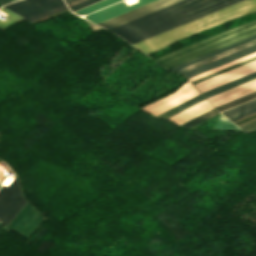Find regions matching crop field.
<instances>
[{
  "label": "crop field",
  "instance_id": "crop-field-1",
  "mask_svg": "<svg viewBox=\"0 0 256 256\" xmlns=\"http://www.w3.org/2000/svg\"><path fill=\"white\" fill-rule=\"evenodd\" d=\"M240 1L183 0L110 30L133 44Z\"/></svg>",
  "mask_w": 256,
  "mask_h": 256
},
{
  "label": "crop field",
  "instance_id": "crop-field-2",
  "mask_svg": "<svg viewBox=\"0 0 256 256\" xmlns=\"http://www.w3.org/2000/svg\"><path fill=\"white\" fill-rule=\"evenodd\" d=\"M251 12H256V0H245L133 45L148 55L176 41Z\"/></svg>",
  "mask_w": 256,
  "mask_h": 256
},
{
  "label": "crop field",
  "instance_id": "crop-field-3",
  "mask_svg": "<svg viewBox=\"0 0 256 256\" xmlns=\"http://www.w3.org/2000/svg\"><path fill=\"white\" fill-rule=\"evenodd\" d=\"M256 34V21L225 30L208 39L192 44L156 59L170 69L222 47L228 46Z\"/></svg>",
  "mask_w": 256,
  "mask_h": 256
},
{
  "label": "crop field",
  "instance_id": "crop-field-4",
  "mask_svg": "<svg viewBox=\"0 0 256 256\" xmlns=\"http://www.w3.org/2000/svg\"><path fill=\"white\" fill-rule=\"evenodd\" d=\"M118 1H120V0H104V1L98 2L96 4H93L91 6H88L86 8H83L81 10H78V11H76L74 13H77L79 15H86L88 13H91L93 11H96L98 9L106 7V6L110 5V4H113V3L118 2ZM139 1L140 2H138L136 4H133V5L129 6V7H127L124 2H120L118 4L110 6L108 8L103 9V10H100L98 12L90 14V15L86 16V19H88V20L98 24L100 22H103L105 20H108L110 18L118 16L120 14H123V13L128 12L130 10H133L135 8H138L140 6H143L145 4L153 2L155 0H139Z\"/></svg>",
  "mask_w": 256,
  "mask_h": 256
},
{
  "label": "crop field",
  "instance_id": "crop-field-5",
  "mask_svg": "<svg viewBox=\"0 0 256 256\" xmlns=\"http://www.w3.org/2000/svg\"><path fill=\"white\" fill-rule=\"evenodd\" d=\"M26 202L21 196L17 176L8 187L2 186L0 188V221L5 227Z\"/></svg>",
  "mask_w": 256,
  "mask_h": 256
},
{
  "label": "crop field",
  "instance_id": "crop-field-6",
  "mask_svg": "<svg viewBox=\"0 0 256 256\" xmlns=\"http://www.w3.org/2000/svg\"><path fill=\"white\" fill-rule=\"evenodd\" d=\"M43 220L44 217L27 202L6 228L28 239Z\"/></svg>",
  "mask_w": 256,
  "mask_h": 256
},
{
  "label": "crop field",
  "instance_id": "crop-field-7",
  "mask_svg": "<svg viewBox=\"0 0 256 256\" xmlns=\"http://www.w3.org/2000/svg\"><path fill=\"white\" fill-rule=\"evenodd\" d=\"M197 94H199V92L188 81H186L171 95H168L163 99L153 102L141 109H144L156 116Z\"/></svg>",
  "mask_w": 256,
  "mask_h": 256
},
{
  "label": "crop field",
  "instance_id": "crop-field-8",
  "mask_svg": "<svg viewBox=\"0 0 256 256\" xmlns=\"http://www.w3.org/2000/svg\"><path fill=\"white\" fill-rule=\"evenodd\" d=\"M253 44H256V35L253 37H250L248 39H245L243 41H240L238 43H235L233 45H230L228 47L222 48L220 50H217L215 52H212L210 54H207L205 56H202L200 58H197L195 60H192L190 62H187L185 64H182L180 66H177L175 68H172L170 70L175 71L179 74L186 72L188 70H191L193 68H196L198 66H201L203 64H206L208 62H211L213 60H216L218 58H221L223 56H226L228 54H231L233 52H236L238 50H241L243 48H246L248 46H251Z\"/></svg>",
  "mask_w": 256,
  "mask_h": 256
},
{
  "label": "crop field",
  "instance_id": "crop-field-9",
  "mask_svg": "<svg viewBox=\"0 0 256 256\" xmlns=\"http://www.w3.org/2000/svg\"><path fill=\"white\" fill-rule=\"evenodd\" d=\"M61 5H64L63 0H22L5 8L28 18Z\"/></svg>",
  "mask_w": 256,
  "mask_h": 256
},
{
  "label": "crop field",
  "instance_id": "crop-field-10",
  "mask_svg": "<svg viewBox=\"0 0 256 256\" xmlns=\"http://www.w3.org/2000/svg\"><path fill=\"white\" fill-rule=\"evenodd\" d=\"M254 71H256V61H253L241 67H238L236 69H233L221 75H218L214 78H211L199 84H195V86L198 88V90L201 93H203L209 89H212L214 87L227 83L229 81H232L234 79H237L239 77L252 73Z\"/></svg>",
  "mask_w": 256,
  "mask_h": 256
},
{
  "label": "crop field",
  "instance_id": "crop-field-11",
  "mask_svg": "<svg viewBox=\"0 0 256 256\" xmlns=\"http://www.w3.org/2000/svg\"><path fill=\"white\" fill-rule=\"evenodd\" d=\"M178 1H180V0H158V1H155L148 5H145L143 7H140L138 9H135L133 11H130L128 13H125L123 15H120L118 17H115L113 19H110L108 21H105L103 23H100L98 25H101L103 27L110 29L112 27H115L117 25H120L122 23L130 21V20L140 17L142 15L148 14L150 12H153L155 10H158L160 8H163L165 6H168V5L178 2Z\"/></svg>",
  "mask_w": 256,
  "mask_h": 256
},
{
  "label": "crop field",
  "instance_id": "crop-field-12",
  "mask_svg": "<svg viewBox=\"0 0 256 256\" xmlns=\"http://www.w3.org/2000/svg\"><path fill=\"white\" fill-rule=\"evenodd\" d=\"M256 91V80L208 98L214 107Z\"/></svg>",
  "mask_w": 256,
  "mask_h": 256
},
{
  "label": "crop field",
  "instance_id": "crop-field-13",
  "mask_svg": "<svg viewBox=\"0 0 256 256\" xmlns=\"http://www.w3.org/2000/svg\"><path fill=\"white\" fill-rule=\"evenodd\" d=\"M253 52H256V45H253V46H251V47H248V48H246V49H243V50H241V51H238V52H236V53H233V54H231V55H228V56H226V57H223V58H221V59H218V60H216V61H213V62H211V63H208V64L203 65V66H201V67H198V68H196V69H193V70L188 71V72H186V73H183V74H181V75H183V76L189 78V77H191V76H194V75H196V74L202 73V72H204V71H207V70L212 69V68H214V67L220 66V65H222V64H225V63L230 62V61H232V60L238 59V58H240V57H243V56L248 55V54L253 53Z\"/></svg>",
  "mask_w": 256,
  "mask_h": 256
},
{
  "label": "crop field",
  "instance_id": "crop-field-14",
  "mask_svg": "<svg viewBox=\"0 0 256 256\" xmlns=\"http://www.w3.org/2000/svg\"><path fill=\"white\" fill-rule=\"evenodd\" d=\"M210 108H212V105L205 100V101H203V102H201V103H199L181 113H178L168 119L180 124V123H182V122H184V121H186V120H188V119H190V118H192Z\"/></svg>",
  "mask_w": 256,
  "mask_h": 256
},
{
  "label": "crop field",
  "instance_id": "crop-field-15",
  "mask_svg": "<svg viewBox=\"0 0 256 256\" xmlns=\"http://www.w3.org/2000/svg\"><path fill=\"white\" fill-rule=\"evenodd\" d=\"M254 112H256V100H253L241 106L225 111L222 114L225 115L228 119L234 121L236 119L242 118Z\"/></svg>",
  "mask_w": 256,
  "mask_h": 256
},
{
  "label": "crop field",
  "instance_id": "crop-field-16",
  "mask_svg": "<svg viewBox=\"0 0 256 256\" xmlns=\"http://www.w3.org/2000/svg\"><path fill=\"white\" fill-rule=\"evenodd\" d=\"M254 79H256V73H253V74H251V75H248V76H246V77H243V78L238 79V80H236V81H233V82H231V83L225 84V85H223V86H220V87H218V88H215V89H213V90H210V91H208V92H205V93H203V95H204L206 98H208V97H210V96H213V95L218 94V93H220V92L226 91V90H228V89H231V88H233V87H236V86H238V85H241V84H243V83H246V82L251 81V80H254Z\"/></svg>",
  "mask_w": 256,
  "mask_h": 256
},
{
  "label": "crop field",
  "instance_id": "crop-field-17",
  "mask_svg": "<svg viewBox=\"0 0 256 256\" xmlns=\"http://www.w3.org/2000/svg\"><path fill=\"white\" fill-rule=\"evenodd\" d=\"M255 97H256V92L251 93V94H249V95H246V96H244V97H241V98H239V99H236V100H234V101L228 102V103L223 104V105H221V106H218V107H216V109H217L218 111H222V110H224V109H227V108H229V107L235 106V105H237V104H240V103H242V102H245V101L250 100V99L255 98Z\"/></svg>",
  "mask_w": 256,
  "mask_h": 256
},
{
  "label": "crop field",
  "instance_id": "crop-field-18",
  "mask_svg": "<svg viewBox=\"0 0 256 256\" xmlns=\"http://www.w3.org/2000/svg\"><path fill=\"white\" fill-rule=\"evenodd\" d=\"M3 8V7H2ZM0 9V10H2V11H4L5 13H7L8 14V20L7 21H1L0 20V29L1 30H3V29H5V28H7V27H9V26H11V25H13V24H15V23H17V22H19V21H22V20H24V19H22V18H20V17H18V16H16V15H14V14H12V13H10V12H8V11H6V10H4V9Z\"/></svg>",
  "mask_w": 256,
  "mask_h": 256
},
{
  "label": "crop field",
  "instance_id": "crop-field-19",
  "mask_svg": "<svg viewBox=\"0 0 256 256\" xmlns=\"http://www.w3.org/2000/svg\"><path fill=\"white\" fill-rule=\"evenodd\" d=\"M216 113H218V112L213 108V109H211V110H209V111H207V112H205V113H203V114H201V115H199V116H197V117H195V118H193V119H191V120H189V121H187V122H185L181 125L188 128V127H190V126H192V125H194V124H196V123H198V122H200V121H202V120H204V119H206V118H208V117H210V116H212Z\"/></svg>",
  "mask_w": 256,
  "mask_h": 256
},
{
  "label": "crop field",
  "instance_id": "crop-field-20",
  "mask_svg": "<svg viewBox=\"0 0 256 256\" xmlns=\"http://www.w3.org/2000/svg\"><path fill=\"white\" fill-rule=\"evenodd\" d=\"M255 59H256V56L253 57V58H250V59H248V60L242 61V62H240V63H237V64H235V65H232V66H230V67H227V68H225V69H222V70H220V71H217V72H215V73H212V74H210V75H207V76H204V77L199 78V79H197V80H194V81H192V83L195 84V83H197V82H200V81L205 80V79H207V78L213 77V76H215V75H218V74H220V73H223V72H225V71H228V70H230V69H233V68H235V67H238V66H240V65H243V64L248 63V62H250V61H253V60H255Z\"/></svg>",
  "mask_w": 256,
  "mask_h": 256
},
{
  "label": "crop field",
  "instance_id": "crop-field-21",
  "mask_svg": "<svg viewBox=\"0 0 256 256\" xmlns=\"http://www.w3.org/2000/svg\"><path fill=\"white\" fill-rule=\"evenodd\" d=\"M255 55H256V53H253V54H251V55L245 56V57L240 58V59H238V60H235V61H233V62L227 63V64L222 65V66H220V67H217V68H215V69H212V70H209V71L204 72V73H202V74H199V75H197V76L191 77V78H189V80L192 81V80H194V79H197V78L202 77V76H204V75L210 74V73H212V72H215V71H217V70H220V69H222V68H225V67H227V66H230V65H232V64H235V63L240 62V61H242V60L248 59V58L253 57V56H255Z\"/></svg>",
  "mask_w": 256,
  "mask_h": 256
},
{
  "label": "crop field",
  "instance_id": "crop-field-22",
  "mask_svg": "<svg viewBox=\"0 0 256 256\" xmlns=\"http://www.w3.org/2000/svg\"><path fill=\"white\" fill-rule=\"evenodd\" d=\"M202 100H204V98L200 94V95H198V96H196V97H194V98H192V99H190V100H188V101H186V102L176 106V108L180 112V111H182V110H184V109H186V108H188V107H190V106H192V105H194V104H196V103H198V102H200Z\"/></svg>",
  "mask_w": 256,
  "mask_h": 256
},
{
  "label": "crop field",
  "instance_id": "crop-field-23",
  "mask_svg": "<svg viewBox=\"0 0 256 256\" xmlns=\"http://www.w3.org/2000/svg\"><path fill=\"white\" fill-rule=\"evenodd\" d=\"M64 9H67V6H66V5L61 6V7H59V8H56V9H53V10H50V11H47V12L42 13V14L33 16V17H31V18H28V21L31 22V21H34V20H36V19H39V18L48 16V15H50V14H53V13L62 11V10H64Z\"/></svg>",
  "mask_w": 256,
  "mask_h": 256
},
{
  "label": "crop field",
  "instance_id": "crop-field-24",
  "mask_svg": "<svg viewBox=\"0 0 256 256\" xmlns=\"http://www.w3.org/2000/svg\"><path fill=\"white\" fill-rule=\"evenodd\" d=\"M97 1H99V0H87V1H85V2H82V3H80V4H77V5H75V6H72V7H70L69 9H70L71 11H74V10H76V9H79V8H81V7H84V6H86V5H89V4L94 3V2H97Z\"/></svg>",
  "mask_w": 256,
  "mask_h": 256
},
{
  "label": "crop field",
  "instance_id": "crop-field-25",
  "mask_svg": "<svg viewBox=\"0 0 256 256\" xmlns=\"http://www.w3.org/2000/svg\"><path fill=\"white\" fill-rule=\"evenodd\" d=\"M254 127H256V120H255V121H252V122H250V123H247V124H245V125L240 126V128L243 129V130H245V131H247V130H249V129H252V128H254Z\"/></svg>",
  "mask_w": 256,
  "mask_h": 256
},
{
  "label": "crop field",
  "instance_id": "crop-field-26",
  "mask_svg": "<svg viewBox=\"0 0 256 256\" xmlns=\"http://www.w3.org/2000/svg\"><path fill=\"white\" fill-rule=\"evenodd\" d=\"M82 1H85V0H75V1H73V2L68 3L67 5H68V7H70V6H72V5H75V4H77V3H80V2H82Z\"/></svg>",
  "mask_w": 256,
  "mask_h": 256
},
{
  "label": "crop field",
  "instance_id": "crop-field-27",
  "mask_svg": "<svg viewBox=\"0 0 256 256\" xmlns=\"http://www.w3.org/2000/svg\"><path fill=\"white\" fill-rule=\"evenodd\" d=\"M10 3L9 0H0V6Z\"/></svg>",
  "mask_w": 256,
  "mask_h": 256
},
{
  "label": "crop field",
  "instance_id": "crop-field-28",
  "mask_svg": "<svg viewBox=\"0 0 256 256\" xmlns=\"http://www.w3.org/2000/svg\"><path fill=\"white\" fill-rule=\"evenodd\" d=\"M66 1V3H68V2H70V1H72V0H65Z\"/></svg>",
  "mask_w": 256,
  "mask_h": 256
},
{
  "label": "crop field",
  "instance_id": "crop-field-29",
  "mask_svg": "<svg viewBox=\"0 0 256 256\" xmlns=\"http://www.w3.org/2000/svg\"><path fill=\"white\" fill-rule=\"evenodd\" d=\"M11 2H13V1H16V0H10Z\"/></svg>",
  "mask_w": 256,
  "mask_h": 256
},
{
  "label": "crop field",
  "instance_id": "crop-field-30",
  "mask_svg": "<svg viewBox=\"0 0 256 256\" xmlns=\"http://www.w3.org/2000/svg\"><path fill=\"white\" fill-rule=\"evenodd\" d=\"M1 161V160H0Z\"/></svg>",
  "mask_w": 256,
  "mask_h": 256
}]
</instances>
